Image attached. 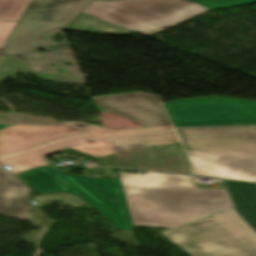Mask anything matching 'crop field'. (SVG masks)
I'll use <instances>...</instances> for the list:
<instances>
[{"label": "crop field", "instance_id": "obj_11", "mask_svg": "<svg viewBox=\"0 0 256 256\" xmlns=\"http://www.w3.org/2000/svg\"><path fill=\"white\" fill-rule=\"evenodd\" d=\"M28 188L0 168V213L26 220Z\"/></svg>", "mask_w": 256, "mask_h": 256}, {"label": "crop field", "instance_id": "obj_4", "mask_svg": "<svg viewBox=\"0 0 256 256\" xmlns=\"http://www.w3.org/2000/svg\"><path fill=\"white\" fill-rule=\"evenodd\" d=\"M15 176L40 195L63 191L77 196L123 233L133 230L119 179H89L53 171L50 167L31 169Z\"/></svg>", "mask_w": 256, "mask_h": 256}, {"label": "crop field", "instance_id": "obj_16", "mask_svg": "<svg viewBox=\"0 0 256 256\" xmlns=\"http://www.w3.org/2000/svg\"><path fill=\"white\" fill-rule=\"evenodd\" d=\"M17 22L0 21V47H3Z\"/></svg>", "mask_w": 256, "mask_h": 256}, {"label": "crop field", "instance_id": "obj_17", "mask_svg": "<svg viewBox=\"0 0 256 256\" xmlns=\"http://www.w3.org/2000/svg\"><path fill=\"white\" fill-rule=\"evenodd\" d=\"M222 181H223V183H224V185H225V187H226V189H227V191H228V193H229L231 199L233 200L234 205H235V206H240V203H239V201H238V199H237L235 193L233 192V190H232V188H231V186H230L228 180H222Z\"/></svg>", "mask_w": 256, "mask_h": 256}, {"label": "crop field", "instance_id": "obj_12", "mask_svg": "<svg viewBox=\"0 0 256 256\" xmlns=\"http://www.w3.org/2000/svg\"><path fill=\"white\" fill-rule=\"evenodd\" d=\"M236 193L241 207H235L237 212L256 231V183L229 180Z\"/></svg>", "mask_w": 256, "mask_h": 256}, {"label": "crop field", "instance_id": "obj_14", "mask_svg": "<svg viewBox=\"0 0 256 256\" xmlns=\"http://www.w3.org/2000/svg\"><path fill=\"white\" fill-rule=\"evenodd\" d=\"M31 0H0V19L19 20Z\"/></svg>", "mask_w": 256, "mask_h": 256}, {"label": "crop field", "instance_id": "obj_1", "mask_svg": "<svg viewBox=\"0 0 256 256\" xmlns=\"http://www.w3.org/2000/svg\"><path fill=\"white\" fill-rule=\"evenodd\" d=\"M119 175L133 226L174 228L231 207L224 190L200 189L188 177Z\"/></svg>", "mask_w": 256, "mask_h": 256}, {"label": "crop field", "instance_id": "obj_15", "mask_svg": "<svg viewBox=\"0 0 256 256\" xmlns=\"http://www.w3.org/2000/svg\"><path fill=\"white\" fill-rule=\"evenodd\" d=\"M195 3H198L202 6H205L213 11L237 7L242 5H247L252 2H256V0H191Z\"/></svg>", "mask_w": 256, "mask_h": 256}, {"label": "crop field", "instance_id": "obj_3", "mask_svg": "<svg viewBox=\"0 0 256 256\" xmlns=\"http://www.w3.org/2000/svg\"><path fill=\"white\" fill-rule=\"evenodd\" d=\"M159 233L190 256H256V234L232 208Z\"/></svg>", "mask_w": 256, "mask_h": 256}, {"label": "crop field", "instance_id": "obj_6", "mask_svg": "<svg viewBox=\"0 0 256 256\" xmlns=\"http://www.w3.org/2000/svg\"><path fill=\"white\" fill-rule=\"evenodd\" d=\"M208 10L188 0H125L92 2L83 13L144 35Z\"/></svg>", "mask_w": 256, "mask_h": 256}, {"label": "crop field", "instance_id": "obj_9", "mask_svg": "<svg viewBox=\"0 0 256 256\" xmlns=\"http://www.w3.org/2000/svg\"><path fill=\"white\" fill-rule=\"evenodd\" d=\"M187 154L192 175L256 182V151Z\"/></svg>", "mask_w": 256, "mask_h": 256}, {"label": "crop field", "instance_id": "obj_13", "mask_svg": "<svg viewBox=\"0 0 256 256\" xmlns=\"http://www.w3.org/2000/svg\"><path fill=\"white\" fill-rule=\"evenodd\" d=\"M65 30L120 35L133 33L83 13H81Z\"/></svg>", "mask_w": 256, "mask_h": 256}, {"label": "crop field", "instance_id": "obj_2", "mask_svg": "<svg viewBox=\"0 0 256 256\" xmlns=\"http://www.w3.org/2000/svg\"><path fill=\"white\" fill-rule=\"evenodd\" d=\"M99 111L117 112L147 128L112 131L79 129L64 123L56 126L16 125L0 130V158L84 133L94 139L174 130L159 97L135 93L94 99Z\"/></svg>", "mask_w": 256, "mask_h": 256}, {"label": "crop field", "instance_id": "obj_8", "mask_svg": "<svg viewBox=\"0 0 256 256\" xmlns=\"http://www.w3.org/2000/svg\"><path fill=\"white\" fill-rule=\"evenodd\" d=\"M177 142H179V140L174 131L99 141H93L86 138L84 135H80L34 150L0 159V164L3 166L8 165L13 169L11 173H17L33 167L48 165L44 155L67 148H72L97 157H101L111 155L112 153L110 146L115 145L134 143H143L146 145H164Z\"/></svg>", "mask_w": 256, "mask_h": 256}, {"label": "crop field", "instance_id": "obj_5", "mask_svg": "<svg viewBox=\"0 0 256 256\" xmlns=\"http://www.w3.org/2000/svg\"><path fill=\"white\" fill-rule=\"evenodd\" d=\"M92 0H32L0 54L48 69L35 53L42 37L64 29Z\"/></svg>", "mask_w": 256, "mask_h": 256}, {"label": "crop field", "instance_id": "obj_18", "mask_svg": "<svg viewBox=\"0 0 256 256\" xmlns=\"http://www.w3.org/2000/svg\"><path fill=\"white\" fill-rule=\"evenodd\" d=\"M7 126H11V125H0V128H4V127H7Z\"/></svg>", "mask_w": 256, "mask_h": 256}, {"label": "crop field", "instance_id": "obj_10", "mask_svg": "<svg viewBox=\"0 0 256 256\" xmlns=\"http://www.w3.org/2000/svg\"><path fill=\"white\" fill-rule=\"evenodd\" d=\"M176 129L186 151L256 148V126Z\"/></svg>", "mask_w": 256, "mask_h": 256}, {"label": "crop field", "instance_id": "obj_7", "mask_svg": "<svg viewBox=\"0 0 256 256\" xmlns=\"http://www.w3.org/2000/svg\"><path fill=\"white\" fill-rule=\"evenodd\" d=\"M175 127L256 124V102L197 99L165 103Z\"/></svg>", "mask_w": 256, "mask_h": 256}]
</instances>
